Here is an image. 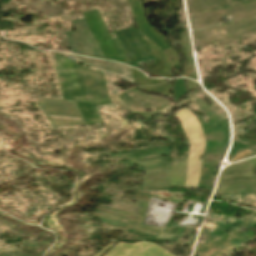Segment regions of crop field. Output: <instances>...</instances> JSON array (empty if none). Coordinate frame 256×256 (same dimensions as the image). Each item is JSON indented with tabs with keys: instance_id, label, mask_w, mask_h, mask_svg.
I'll list each match as a JSON object with an SVG mask.
<instances>
[{
	"instance_id": "8a807250",
	"label": "crop field",
	"mask_w": 256,
	"mask_h": 256,
	"mask_svg": "<svg viewBox=\"0 0 256 256\" xmlns=\"http://www.w3.org/2000/svg\"><path fill=\"white\" fill-rule=\"evenodd\" d=\"M175 116L179 119L190 142L188 164L202 163L199 156L204 152L205 139L198 120L186 108L177 112Z\"/></svg>"
},
{
	"instance_id": "ac0d7876",
	"label": "crop field",
	"mask_w": 256,
	"mask_h": 256,
	"mask_svg": "<svg viewBox=\"0 0 256 256\" xmlns=\"http://www.w3.org/2000/svg\"><path fill=\"white\" fill-rule=\"evenodd\" d=\"M104 256H172L159 246L140 242L137 244L118 243Z\"/></svg>"
},
{
	"instance_id": "34b2d1b8",
	"label": "crop field",
	"mask_w": 256,
	"mask_h": 256,
	"mask_svg": "<svg viewBox=\"0 0 256 256\" xmlns=\"http://www.w3.org/2000/svg\"><path fill=\"white\" fill-rule=\"evenodd\" d=\"M202 165L188 166L185 187L197 188Z\"/></svg>"
},
{
	"instance_id": "412701ff",
	"label": "crop field",
	"mask_w": 256,
	"mask_h": 256,
	"mask_svg": "<svg viewBox=\"0 0 256 256\" xmlns=\"http://www.w3.org/2000/svg\"><path fill=\"white\" fill-rule=\"evenodd\" d=\"M114 244H116V243H112V244H110L108 247H106V248H104L102 251H100L97 255H95V256H100L102 253H104L108 248H110L112 245H114Z\"/></svg>"
}]
</instances>
